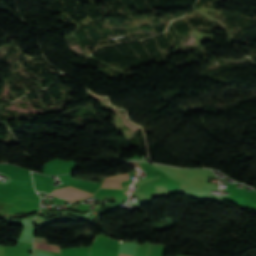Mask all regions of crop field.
<instances>
[{
    "mask_svg": "<svg viewBox=\"0 0 256 256\" xmlns=\"http://www.w3.org/2000/svg\"><path fill=\"white\" fill-rule=\"evenodd\" d=\"M54 191L55 190H53V192ZM53 194L57 195V196H60V197H63V198H66V199L70 200L71 202L92 195V193H89V192H86V191H83V190H80V189H77V188H74V187H71V186L58 189Z\"/></svg>",
    "mask_w": 256,
    "mask_h": 256,
    "instance_id": "obj_1",
    "label": "crop field"
},
{
    "mask_svg": "<svg viewBox=\"0 0 256 256\" xmlns=\"http://www.w3.org/2000/svg\"><path fill=\"white\" fill-rule=\"evenodd\" d=\"M34 248L57 252V253H59L61 250L60 246L49 245L46 238L39 237V236H37L34 239Z\"/></svg>",
    "mask_w": 256,
    "mask_h": 256,
    "instance_id": "obj_2",
    "label": "crop field"
},
{
    "mask_svg": "<svg viewBox=\"0 0 256 256\" xmlns=\"http://www.w3.org/2000/svg\"><path fill=\"white\" fill-rule=\"evenodd\" d=\"M129 179L128 174L106 178L102 187L119 188V182Z\"/></svg>",
    "mask_w": 256,
    "mask_h": 256,
    "instance_id": "obj_3",
    "label": "crop field"
},
{
    "mask_svg": "<svg viewBox=\"0 0 256 256\" xmlns=\"http://www.w3.org/2000/svg\"><path fill=\"white\" fill-rule=\"evenodd\" d=\"M119 256H127V255H121V254H119Z\"/></svg>",
    "mask_w": 256,
    "mask_h": 256,
    "instance_id": "obj_4",
    "label": "crop field"
},
{
    "mask_svg": "<svg viewBox=\"0 0 256 256\" xmlns=\"http://www.w3.org/2000/svg\"><path fill=\"white\" fill-rule=\"evenodd\" d=\"M156 188V187H155Z\"/></svg>",
    "mask_w": 256,
    "mask_h": 256,
    "instance_id": "obj_5",
    "label": "crop field"
}]
</instances>
